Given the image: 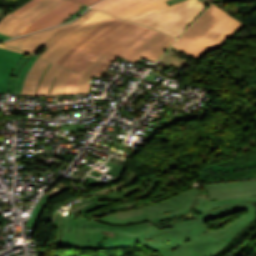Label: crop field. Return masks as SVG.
<instances>
[{"instance_id": "8a807250", "label": "crop field", "mask_w": 256, "mask_h": 256, "mask_svg": "<svg viewBox=\"0 0 256 256\" xmlns=\"http://www.w3.org/2000/svg\"><path fill=\"white\" fill-rule=\"evenodd\" d=\"M241 201L256 203V180L196 186L149 207L90 221L85 217L67 216L63 219L65 223L62 240L58 243L60 225L56 247L104 249L143 246L157 250L162 256H212L222 250L241 229L256 218V208L252 205L254 203H241L203 214L198 212ZM191 209L199 219L175 224L177 228L167 230H159L151 225L184 214ZM244 209L248 210V215L209 233L205 223L207 220ZM68 219L72 222L69 241H67ZM75 222H78L79 242H76ZM83 224H86V229L84 243H81ZM92 226L94 230L89 234L90 243H87L86 234ZM106 230L117 233L114 239L101 234Z\"/></svg>"}, {"instance_id": "ac0d7876", "label": "crop field", "mask_w": 256, "mask_h": 256, "mask_svg": "<svg viewBox=\"0 0 256 256\" xmlns=\"http://www.w3.org/2000/svg\"><path fill=\"white\" fill-rule=\"evenodd\" d=\"M164 1L103 0L94 7L178 38L208 5L199 0H184L169 6Z\"/></svg>"}, {"instance_id": "34b2d1b8", "label": "crop field", "mask_w": 256, "mask_h": 256, "mask_svg": "<svg viewBox=\"0 0 256 256\" xmlns=\"http://www.w3.org/2000/svg\"><path fill=\"white\" fill-rule=\"evenodd\" d=\"M142 27L143 25L113 17L76 42L55 63L78 71L70 75L65 94L75 93L81 75L102 52L111 56Z\"/></svg>"}, {"instance_id": "412701ff", "label": "crop field", "mask_w": 256, "mask_h": 256, "mask_svg": "<svg viewBox=\"0 0 256 256\" xmlns=\"http://www.w3.org/2000/svg\"><path fill=\"white\" fill-rule=\"evenodd\" d=\"M243 26L211 3L172 47L199 59L213 49L223 46L226 40Z\"/></svg>"}, {"instance_id": "f4fd0767", "label": "crop field", "mask_w": 256, "mask_h": 256, "mask_svg": "<svg viewBox=\"0 0 256 256\" xmlns=\"http://www.w3.org/2000/svg\"><path fill=\"white\" fill-rule=\"evenodd\" d=\"M202 182L256 177V148L220 164L200 168Z\"/></svg>"}, {"instance_id": "dd49c442", "label": "crop field", "mask_w": 256, "mask_h": 256, "mask_svg": "<svg viewBox=\"0 0 256 256\" xmlns=\"http://www.w3.org/2000/svg\"><path fill=\"white\" fill-rule=\"evenodd\" d=\"M65 0H43L17 18L7 14L0 21V33L9 37L19 36L30 24Z\"/></svg>"}, {"instance_id": "e52e79f7", "label": "crop field", "mask_w": 256, "mask_h": 256, "mask_svg": "<svg viewBox=\"0 0 256 256\" xmlns=\"http://www.w3.org/2000/svg\"><path fill=\"white\" fill-rule=\"evenodd\" d=\"M111 18V16L99 11L93 18L87 21L82 26L75 29L73 32L68 34L64 39H62L45 57L44 59L55 63L56 60L77 40L82 38L89 31L94 29L96 26Z\"/></svg>"}, {"instance_id": "d8731c3e", "label": "crop field", "mask_w": 256, "mask_h": 256, "mask_svg": "<svg viewBox=\"0 0 256 256\" xmlns=\"http://www.w3.org/2000/svg\"><path fill=\"white\" fill-rule=\"evenodd\" d=\"M175 40L176 39L172 37L158 32L131 54L127 60L137 62L143 57L156 62Z\"/></svg>"}, {"instance_id": "5a996713", "label": "crop field", "mask_w": 256, "mask_h": 256, "mask_svg": "<svg viewBox=\"0 0 256 256\" xmlns=\"http://www.w3.org/2000/svg\"><path fill=\"white\" fill-rule=\"evenodd\" d=\"M81 6L82 4L67 0L35 21L21 35L55 26L66 19Z\"/></svg>"}, {"instance_id": "3316defc", "label": "crop field", "mask_w": 256, "mask_h": 256, "mask_svg": "<svg viewBox=\"0 0 256 256\" xmlns=\"http://www.w3.org/2000/svg\"><path fill=\"white\" fill-rule=\"evenodd\" d=\"M156 32L146 26H144L138 33L130 38L120 49H118L111 57L109 56L96 70L95 76L102 77L108 67L114 62L117 56L126 59L131 53H133L141 44L149 39Z\"/></svg>"}, {"instance_id": "28ad6ade", "label": "crop field", "mask_w": 256, "mask_h": 256, "mask_svg": "<svg viewBox=\"0 0 256 256\" xmlns=\"http://www.w3.org/2000/svg\"><path fill=\"white\" fill-rule=\"evenodd\" d=\"M64 25H60L57 27H53L47 30L40 31L38 33L30 34L21 38L13 39L5 42L4 44L7 46H11L14 48L22 49L29 51L35 54L38 50H40L46 42Z\"/></svg>"}, {"instance_id": "d1516ede", "label": "crop field", "mask_w": 256, "mask_h": 256, "mask_svg": "<svg viewBox=\"0 0 256 256\" xmlns=\"http://www.w3.org/2000/svg\"><path fill=\"white\" fill-rule=\"evenodd\" d=\"M24 55L0 48V92L8 93L12 68Z\"/></svg>"}, {"instance_id": "22f410ed", "label": "crop field", "mask_w": 256, "mask_h": 256, "mask_svg": "<svg viewBox=\"0 0 256 256\" xmlns=\"http://www.w3.org/2000/svg\"><path fill=\"white\" fill-rule=\"evenodd\" d=\"M98 10L95 9H88L84 14L79 16L78 19L67 23L64 28H62L60 31H58L45 45L48 49L42 53L39 57L43 58L63 37H65L68 33H70L72 30L80 26L81 24L85 23L87 20H89L92 16H94ZM64 39V38H63Z\"/></svg>"}, {"instance_id": "cbeb9de0", "label": "crop field", "mask_w": 256, "mask_h": 256, "mask_svg": "<svg viewBox=\"0 0 256 256\" xmlns=\"http://www.w3.org/2000/svg\"><path fill=\"white\" fill-rule=\"evenodd\" d=\"M48 64L49 62L38 58L25 78L22 94L34 95L39 79Z\"/></svg>"}, {"instance_id": "5142ce71", "label": "crop field", "mask_w": 256, "mask_h": 256, "mask_svg": "<svg viewBox=\"0 0 256 256\" xmlns=\"http://www.w3.org/2000/svg\"><path fill=\"white\" fill-rule=\"evenodd\" d=\"M108 57V55L102 53L89 67L88 69L85 71V73L82 75L79 84H78V88H77V92L76 93H81V92H87V85L88 82L91 78V76L93 75V73L95 72V70L97 69V67Z\"/></svg>"}, {"instance_id": "d9b57169", "label": "crop field", "mask_w": 256, "mask_h": 256, "mask_svg": "<svg viewBox=\"0 0 256 256\" xmlns=\"http://www.w3.org/2000/svg\"><path fill=\"white\" fill-rule=\"evenodd\" d=\"M145 182V179H142V181L130 188L124 189L122 191H115V192H111V193H107L104 195H100L88 200H113V201H118L124 197H127L129 195H131L132 193H134L135 191H137L139 188L142 187L143 183ZM87 201V200H86Z\"/></svg>"}, {"instance_id": "733c2abd", "label": "crop field", "mask_w": 256, "mask_h": 256, "mask_svg": "<svg viewBox=\"0 0 256 256\" xmlns=\"http://www.w3.org/2000/svg\"><path fill=\"white\" fill-rule=\"evenodd\" d=\"M158 183H159V180L152 179L150 181V183L148 184L147 188L144 191H142L140 194H138L136 197H134L118 206L107 209V210H105V212L108 213V212H112V211H116V210H120V209L138 205L140 199H142L145 195H147L153 189V187Z\"/></svg>"}, {"instance_id": "4a817a6b", "label": "crop field", "mask_w": 256, "mask_h": 256, "mask_svg": "<svg viewBox=\"0 0 256 256\" xmlns=\"http://www.w3.org/2000/svg\"><path fill=\"white\" fill-rule=\"evenodd\" d=\"M141 175H142V173L130 172V174L127 177L126 180L118 183L115 186L105 188V189H102V190H98V191L90 192V193H88V197L95 196V195H98V194H101V193H104V192H108V191H114L118 188H123V187L130 186V185L134 184Z\"/></svg>"}, {"instance_id": "bc2a9ffb", "label": "crop field", "mask_w": 256, "mask_h": 256, "mask_svg": "<svg viewBox=\"0 0 256 256\" xmlns=\"http://www.w3.org/2000/svg\"><path fill=\"white\" fill-rule=\"evenodd\" d=\"M59 67L51 64V66L49 67V69L47 70L40 86H39V90H38V94L39 96H45L48 95L49 93V89L51 87L52 81L54 79V76L56 74V72L58 71Z\"/></svg>"}, {"instance_id": "214f88e0", "label": "crop field", "mask_w": 256, "mask_h": 256, "mask_svg": "<svg viewBox=\"0 0 256 256\" xmlns=\"http://www.w3.org/2000/svg\"><path fill=\"white\" fill-rule=\"evenodd\" d=\"M195 218H197V217L194 214V212L191 210L190 212H188L184 215L176 216L175 218L167 219L165 221L158 222V223H155L152 225L158 227L159 229H167V228L175 227L173 225L175 223H179V222H183L185 220H190V219H195Z\"/></svg>"}, {"instance_id": "92a150f3", "label": "crop field", "mask_w": 256, "mask_h": 256, "mask_svg": "<svg viewBox=\"0 0 256 256\" xmlns=\"http://www.w3.org/2000/svg\"><path fill=\"white\" fill-rule=\"evenodd\" d=\"M70 73H71V71H68V70L62 68V70L60 71V73L58 74V76L55 80L51 95L64 94L65 87H66Z\"/></svg>"}, {"instance_id": "dafd665d", "label": "crop field", "mask_w": 256, "mask_h": 256, "mask_svg": "<svg viewBox=\"0 0 256 256\" xmlns=\"http://www.w3.org/2000/svg\"><path fill=\"white\" fill-rule=\"evenodd\" d=\"M38 57L33 56L29 59V61L26 63V65L24 66V68L22 69V71L19 73L18 79H17V84H16V88H15V92L17 94H21L22 91V85H23V81L24 78L28 72V70L31 68V66L33 65V63L36 61Z\"/></svg>"}, {"instance_id": "00972430", "label": "crop field", "mask_w": 256, "mask_h": 256, "mask_svg": "<svg viewBox=\"0 0 256 256\" xmlns=\"http://www.w3.org/2000/svg\"><path fill=\"white\" fill-rule=\"evenodd\" d=\"M40 1H42V0H29L27 3L18 7L17 9L13 10L10 13L17 17L19 14H21L22 12H24L25 10H27L28 8L32 7L33 5H35L36 3L40 2ZM76 1H79V2H82L84 4L91 6V5L99 2L100 0H76Z\"/></svg>"}, {"instance_id": "a9b5d70f", "label": "crop field", "mask_w": 256, "mask_h": 256, "mask_svg": "<svg viewBox=\"0 0 256 256\" xmlns=\"http://www.w3.org/2000/svg\"><path fill=\"white\" fill-rule=\"evenodd\" d=\"M167 53L173 55V56H176L177 58L181 59V60H185L186 58H188L189 60L187 62L193 64V65H197L199 63V60L177 50V49H174L172 47L169 48V50L167 51ZM186 61V60H185Z\"/></svg>"}, {"instance_id": "4177f3b9", "label": "crop field", "mask_w": 256, "mask_h": 256, "mask_svg": "<svg viewBox=\"0 0 256 256\" xmlns=\"http://www.w3.org/2000/svg\"><path fill=\"white\" fill-rule=\"evenodd\" d=\"M95 202H99V203H105L106 205H108V204H110V203H112L113 201H92V202H88V203H85V204H83V205H80V206H77V207H75V208H72V209H70V210H68V211H70V212H72L73 214L76 212V213H78L79 215L80 214H85V215H87L88 217H90L86 212L85 213H83V212H81V211H79L78 209H80V208H82V207H85V206H87V205H90V204H93V203H95ZM106 205H104V206H106ZM101 207H103V206H101ZM100 208V207H99ZM97 209V208H96ZM94 210V209H93ZM91 211V210H90ZM91 218V217H90Z\"/></svg>"}, {"instance_id": "730fd06b", "label": "crop field", "mask_w": 256, "mask_h": 256, "mask_svg": "<svg viewBox=\"0 0 256 256\" xmlns=\"http://www.w3.org/2000/svg\"><path fill=\"white\" fill-rule=\"evenodd\" d=\"M101 205H104V204L95 203V204H93V205H90V206H88V207L82 208V209H80V210L83 211V212H85V211H88V210H90V209L99 207V206H101Z\"/></svg>"}, {"instance_id": "eef30255", "label": "crop field", "mask_w": 256, "mask_h": 256, "mask_svg": "<svg viewBox=\"0 0 256 256\" xmlns=\"http://www.w3.org/2000/svg\"><path fill=\"white\" fill-rule=\"evenodd\" d=\"M59 215H60V213L58 212V213H57V216H56V219H55V221H54V223H53L52 226L57 227V225H58V220H59Z\"/></svg>"}, {"instance_id": "ae1a2a85", "label": "crop field", "mask_w": 256, "mask_h": 256, "mask_svg": "<svg viewBox=\"0 0 256 256\" xmlns=\"http://www.w3.org/2000/svg\"><path fill=\"white\" fill-rule=\"evenodd\" d=\"M8 38H9V37L0 34V42H2V41L5 40V39H8Z\"/></svg>"}, {"instance_id": "d3111659", "label": "crop field", "mask_w": 256, "mask_h": 256, "mask_svg": "<svg viewBox=\"0 0 256 256\" xmlns=\"http://www.w3.org/2000/svg\"><path fill=\"white\" fill-rule=\"evenodd\" d=\"M0 47L7 48V49H11V50H15V51H19V52H22V51H20V50L12 49V48L5 47V46H1V45H0ZM23 53H24V52H23ZM25 54H26V53H25Z\"/></svg>"}, {"instance_id": "750c4746", "label": "crop field", "mask_w": 256, "mask_h": 256, "mask_svg": "<svg viewBox=\"0 0 256 256\" xmlns=\"http://www.w3.org/2000/svg\"><path fill=\"white\" fill-rule=\"evenodd\" d=\"M50 64H51V63H50ZM49 66H50V65H49ZM49 66H48V67H49ZM48 67H47V69H48ZM47 69H46V70H47ZM46 70H45V72H46ZM45 72H44V73H45ZM44 73H43V75H44ZM43 75H42V77H43ZM41 79H42V78H41ZM40 81H41V80H40ZM39 83H40V82H39ZM38 86H39V85H38ZM37 90H38V88H37ZM37 90H36V93H37ZM35 95H36V94H35Z\"/></svg>"}, {"instance_id": "bd1437ed", "label": "crop field", "mask_w": 256, "mask_h": 256, "mask_svg": "<svg viewBox=\"0 0 256 256\" xmlns=\"http://www.w3.org/2000/svg\"><path fill=\"white\" fill-rule=\"evenodd\" d=\"M101 214H105V212L102 211V212H99V213H97V214H95V215H101Z\"/></svg>"}, {"instance_id": "1d83c4d3", "label": "crop field", "mask_w": 256, "mask_h": 256, "mask_svg": "<svg viewBox=\"0 0 256 256\" xmlns=\"http://www.w3.org/2000/svg\"><path fill=\"white\" fill-rule=\"evenodd\" d=\"M63 223H64V221H63ZM63 223H62V229H63ZM62 229H61V234H62ZM61 234H60V240H61ZM60 240H59V242H60Z\"/></svg>"}, {"instance_id": "120bbe31", "label": "crop field", "mask_w": 256, "mask_h": 256, "mask_svg": "<svg viewBox=\"0 0 256 256\" xmlns=\"http://www.w3.org/2000/svg\"><path fill=\"white\" fill-rule=\"evenodd\" d=\"M93 230V228L88 232V234ZM88 234H87V240L89 242V239H88Z\"/></svg>"}, {"instance_id": "d32e631a", "label": "crop field", "mask_w": 256, "mask_h": 256, "mask_svg": "<svg viewBox=\"0 0 256 256\" xmlns=\"http://www.w3.org/2000/svg\"><path fill=\"white\" fill-rule=\"evenodd\" d=\"M76 232H77V223H76ZM77 241H78V232H77Z\"/></svg>"}, {"instance_id": "5866460e", "label": "crop field", "mask_w": 256, "mask_h": 256, "mask_svg": "<svg viewBox=\"0 0 256 256\" xmlns=\"http://www.w3.org/2000/svg\"><path fill=\"white\" fill-rule=\"evenodd\" d=\"M84 229H85V225H84ZM84 229H83V238H84ZM83 238H82V242H83Z\"/></svg>"}, {"instance_id": "028f5c9d", "label": "crop field", "mask_w": 256, "mask_h": 256, "mask_svg": "<svg viewBox=\"0 0 256 256\" xmlns=\"http://www.w3.org/2000/svg\"><path fill=\"white\" fill-rule=\"evenodd\" d=\"M75 215H77V214L75 213ZM77 216H78V217H81L82 215H81V216L77 215ZM84 216H85V215H84ZM86 217H87V216H86ZM89 220H90V218H89Z\"/></svg>"}, {"instance_id": "e1f06a70", "label": "crop field", "mask_w": 256, "mask_h": 256, "mask_svg": "<svg viewBox=\"0 0 256 256\" xmlns=\"http://www.w3.org/2000/svg\"><path fill=\"white\" fill-rule=\"evenodd\" d=\"M69 222H70V220H69ZM70 226H71V222H70ZM69 231H70V229H69ZM69 237V236H68Z\"/></svg>"}, {"instance_id": "0bd39190", "label": "crop field", "mask_w": 256, "mask_h": 256, "mask_svg": "<svg viewBox=\"0 0 256 256\" xmlns=\"http://www.w3.org/2000/svg\"><path fill=\"white\" fill-rule=\"evenodd\" d=\"M204 212H206V211H204ZM200 213H203V212H200Z\"/></svg>"}, {"instance_id": "b80d0937", "label": "crop field", "mask_w": 256, "mask_h": 256, "mask_svg": "<svg viewBox=\"0 0 256 256\" xmlns=\"http://www.w3.org/2000/svg\"><path fill=\"white\" fill-rule=\"evenodd\" d=\"M62 218H64V217L62 216ZM62 218H61V219H62Z\"/></svg>"}, {"instance_id": "c035e120", "label": "crop field", "mask_w": 256, "mask_h": 256, "mask_svg": "<svg viewBox=\"0 0 256 256\" xmlns=\"http://www.w3.org/2000/svg\"><path fill=\"white\" fill-rule=\"evenodd\" d=\"M71 215H73V214H71Z\"/></svg>"}]
</instances>
